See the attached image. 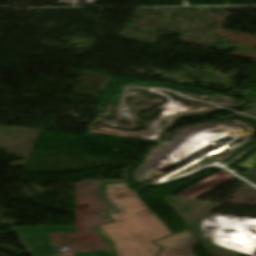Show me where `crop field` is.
<instances>
[{
	"label": "crop field",
	"mask_w": 256,
	"mask_h": 256,
	"mask_svg": "<svg viewBox=\"0 0 256 256\" xmlns=\"http://www.w3.org/2000/svg\"><path fill=\"white\" fill-rule=\"evenodd\" d=\"M233 178L230 174H227L224 171H220L207 179L193 185L192 187L182 191L181 193L173 196L176 198H187L193 199L194 197L218 186L219 184Z\"/></svg>",
	"instance_id": "34b2d1b8"
},
{
	"label": "crop field",
	"mask_w": 256,
	"mask_h": 256,
	"mask_svg": "<svg viewBox=\"0 0 256 256\" xmlns=\"http://www.w3.org/2000/svg\"><path fill=\"white\" fill-rule=\"evenodd\" d=\"M195 236L190 232L189 229L162 239L155 242L156 244L163 247L162 251L158 256H183L178 254H173L170 251L182 247L192 246L196 242Z\"/></svg>",
	"instance_id": "412701ff"
},
{
	"label": "crop field",
	"mask_w": 256,
	"mask_h": 256,
	"mask_svg": "<svg viewBox=\"0 0 256 256\" xmlns=\"http://www.w3.org/2000/svg\"><path fill=\"white\" fill-rule=\"evenodd\" d=\"M193 247L194 246L187 247V248H182V249L174 250V251H171V252L191 256Z\"/></svg>",
	"instance_id": "dd49c442"
},
{
	"label": "crop field",
	"mask_w": 256,
	"mask_h": 256,
	"mask_svg": "<svg viewBox=\"0 0 256 256\" xmlns=\"http://www.w3.org/2000/svg\"><path fill=\"white\" fill-rule=\"evenodd\" d=\"M107 196L119 212L110 215L114 222L93 229L109 249L74 251L71 256H155L159 247L151 241L171 232L125 183L108 184Z\"/></svg>",
	"instance_id": "8a807250"
},
{
	"label": "crop field",
	"mask_w": 256,
	"mask_h": 256,
	"mask_svg": "<svg viewBox=\"0 0 256 256\" xmlns=\"http://www.w3.org/2000/svg\"><path fill=\"white\" fill-rule=\"evenodd\" d=\"M18 234L32 256H54L59 254L47 234Z\"/></svg>",
	"instance_id": "ac0d7876"
},
{
	"label": "crop field",
	"mask_w": 256,
	"mask_h": 256,
	"mask_svg": "<svg viewBox=\"0 0 256 256\" xmlns=\"http://www.w3.org/2000/svg\"><path fill=\"white\" fill-rule=\"evenodd\" d=\"M20 233H60L75 232L74 227H24L15 228Z\"/></svg>",
	"instance_id": "f4fd0767"
}]
</instances>
